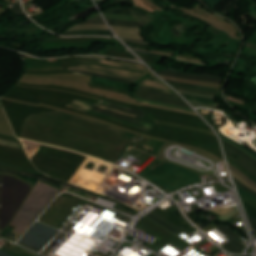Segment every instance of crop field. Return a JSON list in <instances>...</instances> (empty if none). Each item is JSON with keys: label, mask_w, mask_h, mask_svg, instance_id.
I'll return each mask as SVG.
<instances>
[{"label": "crop field", "mask_w": 256, "mask_h": 256, "mask_svg": "<svg viewBox=\"0 0 256 256\" xmlns=\"http://www.w3.org/2000/svg\"><path fill=\"white\" fill-rule=\"evenodd\" d=\"M221 139L224 140V141H227V142H229V143H231V144H233V145H235V146H237L236 144H234V143H232V142H230V141H228V140H226V139H224V138H222V137H221ZM235 146H234V147H235ZM237 147H238L239 149H241L244 153H246V154H248L249 156H251L252 158H254L252 155H250L251 153L249 154L248 152H246V151H245L244 149H242L241 147H239V146H237ZM237 147H236V148H237ZM254 159L256 160V158H254Z\"/></svg>", "instance_id": "obj_34"}, {"label": "crop field", "mask_w": 256, "mask_h": 256, "mask_svg": "<svg viewBox=\"0 0 256 256\" xmlns=\"http://www.w3.org/2000/svg\"><path fill=\"white\" fill-rule=\"evenodd\" d=\"M72 73L84 74V75L94 76V77H98V78H102V79L125 82V83H129V84L133 83V81H130V80L111 77V76H106V75H101V74H96V73H90V72H85V71H72Z\"/></svg>", "instance_id": "obj_13"}, {"label": "crop field", "mask_w": 256, "mask_h": 256, "mask_svg": "<svg viewBox=\"0 0 256 256\" xmlns=\"http://www.w3.org/2000/svg\"><path fill=\"white\" fill-rule=\"evenodd\" d=\"M170 85H175V86H181V87H189V88H197V89H203V90H210V91H215L217 93H221L220 90L214 89V88H208V87H201V86H194V85H188V84H182V83H177V82H172V81H167Z\"/></svg>", "instance_id": "obj_19"}, {"label": "crop field", "mask_w": 256, "mask_h": 256, "mask_svg": "<svg viewBox=\"0 0 256 256\" xmlns=\"http://www.w3.org/2000/svg\"><path fill=\"white\" fill-rule=\"evenodd\" d=\"M139 53H143V52H139ZM143 54L153 55V56H159V57H168V56H160V55H154V54H149V53H143ZM168 58H171V57H168Z\"/></svg>", "instance_id": "obj_38"}, {"label": "crop field", "mask_w": 256, "mask_h": 256, "mask_svg": "<svg viewBox=\"0 0 256 256\" xmlns=\"http://www.w3.org/2000/svg\"><path fill=\"white\" fill-rule=\"evenodd\" d=\"M224 148H225V154L227 156H229L231 159H233L239 165H241L242 167H244L245 169H247L249 172H251L253 175L256 176V167L253 164H251L248 160L241 157L240 155H238L234 151L230 150L229 148H227L225 146H224ZM231 154H234V156H236L238 159L232 157Z\"/></svg>", "instance_id": "obj_6"}, {"label": "crop field", "mask_w": 256, "mask_h": 256, "mask_svg": "<svg viewBox=\"0 0 256 256\" xmlns=\"http://www.w3.org/2000/svg\"><path fill=\"white\" fill-rule=\"evenodd\" d=\"M174 88L177 89V90H181V91L205 94V95H210V96H216L217 95V93H211V92H206V91H202V90L187 89V88H180V87H174Z\"/></svg>", "instance_id": "obj_24"}, {"label": "crop field", "mask_w": 256, "mask_h": 256, "mask_svg": "<svg viewBox=\"0 0 256 256\" xmlns=\"http://www.w3.org/2000/svg\"><path fill=\"white\" fill-rule=\"evenodd\" d=\"M227 238L231 239L232 241L227 243L226 245H224L223 247L231 252L234 253H242V250L245 248L242 245L238 244L237 242H235L234 240L239 238L235 235H230Z\"/></svg>", "instance_id": "obj_12"}, {"label": "crop field", "mask_w": 256, "mask_h": 256, "mask_svg": "<svg viewBox=\"0 0 256 256\" xmlns=\"http://www.w3.org/2000/svg\"><path fill=\"white\" fill-rule=\"evenodd\" d=\"M82 29H106L109 30L106 25H80V26H74L69 30H82ZM67 30V31H69Z\"/></svg>", "instance_id": "obj_20"}, {"label": "crop field", "mask_w": 256, "mask_h": 256, "mask_svg": "<svg viewBox=\"0 0 256 256\" xmlns=\"http://www.w3.org/2000/svg\"><path fill=\"white\" fill-rule=\"evenodd\" d=\"M96 107H100V108L107 109V110L114 111V112H118V113L127 114V115H130V116H133V117H136V118L142 119V120L144 119V118L137 117V116L132 115V114H129V113H124V112H121V111H118V110H114V109H111V108H108V107H104V106H101V105H98V104H96Z\"/></svg>", "instance_id": "obj_31"}, {"label": "crop field", "mask_w": 256, "mask_h": 256, "mask_svg": "<svg viewBox=\"0 0 256 256\" xmlns=\"http://www.w3.org/2000/svg\"><path fill=\"white\" fill-rule=\"evenodd\" d=\"M62 35H66V36H75V35H103V36H113V34H112L111 31H97V30L75 31V32L62 33Z\"/></svg>", "instance_id": "obj_11"}, {"label": "crop field", "mask_w": 256, "mask_h": 256, "mask_svg": "<svg viewBox=\"0 0 256 256\" xmlns=\"http://www.w3.org/2000/svg\"><path fill=\"white\" fill-rule=\"evenodd\" d=\"M90 83H97V84L112 86V87L121 88V89L129 90V91L131 90V85H129V84L107 81V80H102V79H98V78H94V77H92Z\"/></svg>", "instance_id": "obj_9"}, {"label": "crop field", "mask_w": 256, "mask_h": 256, "mask_svg": "<svg viewBox=\"0 0 256 256\" xmlns=\"http://www.w3.org/2000/svg\"><path fill=\"white\" fill-rule=\"evenodd\" d=\"M10 11L12 13H14L15 15H17V16H24L25 15L19 3L16 4L14 7H12L10 9Z\"/></svg>", "instance_id": "obj_27"}, {"label": "crop field", "mask_w": 256, "mask_h": 256, "mask_svg": "<svg viewBox=\"0 0 256 256\" xmlns=\"http://www.w3.org/2000/svg\"><path fill=\"white\" fill-rule=\"evenodd\" d=\"M164 71L175 72V73H180V74H187V75L206 76V77L215 78V79H221V80L225 79L223 77L209 76V75H205V74H190V73H186V72L175 70V69H171V68H168V69H166Z\"/></svg>", "instance_id": "obj_26"}, {"label": "crop field", "mask_w": 256, "mask_h": 256, "mask_svg": "<svg viewBox=\"0 0 256 256\" xmlns=\"http://www.w3.org/2000/svg\"><path fill=\"white\" fill-rule=\"evenodd\" d=\"M104 16L105 18H108V19L135 20V21H145V22H151L153 19L148 17L120 16V15H106V14H104Z\"/></svg>", "instance_id": "obj_14"}, {"label": "crop field", "mask_w": 256, "mask_h": 256, "mask_svg": "<svg viewBox=\"0 0 256 256\" xmlns=\"http://www.w3.org/2000/svg\"><path fill=\"white\" fill-rule=\"evenodd\" d=\"M147 217L151 218L152 220H154L156 223H158L159 225H161L162 227H164L165 229H167L168 231H170L173 234H178L179 232L175 231L174 229L170 228L169 226H167L166 224H164L163 222H161L160 220H158L156 217H154L152 214H147Z\"/></svg>", "instance_id": "obj_25"}, {"label": "crop field", "mask_w": 256, "mask_h": 256, "mask_svg": "<svg viewBox=\"0 0 256 256\" xmlns=\"http://www.w3.org/2000/svg\"><path fill=\"white\" fill-rule=\"evenodd\" d=\"M144 177L165 187L170 192L188 184L202 182L197 172L169 162Z\"/></svg>", "instance_id": "obj_1"}, {"label": "crop field", "mask_w": 256, "mask_h": 256, "mask_svg": "<svg viewBox=\"0 0 256 256\" xmlns=\"http://www.w3.org/2000/svg\"><path fill=\"white\" fill-rule=\"evenodd\" d=\"M234 180H235V179H234ZM235 183H236L237 186L243 188L244 190H246V191H248V192H250L251 194H253V195L256 196V193H255V192H253V191H251L250 189H248L247 187L243 186V185H242L241 183H239L238 181L235 180ZM250 193H249V194H250Z\"/></svg>", "instance_id": "obj_32"}, {"label": "crop field", "mask_w": 256, "mask_h": 256, "mask_svg": "<svg viewBox=\"0 0 256 256\" xmlns=\"http://www.w3.org/2000/svg\"><path fill=\"white\" fill-rule=\"evenodd\" d=\"M218 135H220V134H218ZM220 136H222V135H220ZM222 137H224V136H222ZM224 138H226V137H224ZM226 139H228V138H226ZM229 140H230V139H229ZM231 141H232V140H231ZM233 142H234V141H233ZM234 143H236V142H234ZM236 144L239 145V146H241L242 148L246 149L249 153H251L254 157H256V154H254L253 152H251L249 149L243 147L242 145H240V144H238V143H236Z\"/></svg>", "instance_id": "obj_36"}, {"label": "crop field", "mask_w": 256, "mask_h": 256, "mask_svg": "<svg viewBox=\"0 0 256 256\" xmlns=\"http://www.w3.org/2000/svg\"><path fill=\"white\" fill-rule=\"evenodd\" d=\"M139 86H143V87H146V88L162 91V92H165V93L176 94L172 89H170L163 82H161L156 76L151 78V79H147L145 81H142L139 84Z\"/></svg>", "instance_id": "obj_5"}, {"label": "crop field", "mask_w": 256, "mask_h": 256, "mask_svg": "<svg viewBox=\"0 0 256 256\" xmlns=\"http://www.w3.org/2000/svg\"><path fill=\"white\" fill-rule=\"evenodd\" d=\"M223 144L227 147H229L230 149L234 150L235 152H237L238 154H240L241 156L245 157L246 159H248L250 162H252L255 166H256V161L254 159H252L251 157L247 156L246 154H244L242 151H240L238 148L234 147L233 145L224 142Z\"/></svg>", "instance_id": "obj_22"}, {"label": "crop field", "mask_w": 256, "mask_h": 256, "mask_svg": "<svg viewBox=\"0 0 256 256\" xmlns=\"http://www.w3.org/2000/svg\"><path fill=\"white\" fill-rule=\"evenodd\" d=\"M80 24H105V23H104L103 19H93V20H87V21L79 23L77 25H80Z\"/></svg>", "instance_id": "obj_30"}, {"label": "crop field", "mask_w": 256, "mask_h": 256, "mask_svg": "<svg viewBox=\"0 0 256 256\" xmlns=\"http://www.w3.org/2000/svg\"><path fill=\"white\" fill-rule=\"evenodd\" d=\"M232 176L237 179L239 182H241L242 184L246 185L247 187L251 188L252 190H254L256 192V188L250 184H248L247 182H245L243 179H241L239 176H237L235 173H233L231 171Z\"/></svg>", "instance_id": "obj_29"}, {"label": "crop field", "mask_w": 256, "mask_h": 256, "mask_svg": "<svg viewBox=\"0 0 256 256\" xmlns=\"http://www.w3.org/2000/svg\"><path fill=\"white\" fill-rule=\"evenodd\" d=\"M102 13H116V14H126V15L153 17L151 15L144 14V13H142L139 10L134 9V8H120V9H116V10L105 11V12H102Z\"/></svg>", "instance_id": "obj_10"}, {"label": "crop field", "mask_w": 256, "mask_h": 256, "mask_svg": "<svg viewBox=\"0 0 256 256\" xmlns=\"http://www.w3.org/2000/svg\"><path fill=\"white\" fill-rule=\"evenodd\" d=\"M107 21L109 25L135 27V28H141L147 25L146 23L131 22V21H115V20H107Z\"/></svg>", "instance_id": "obj_15"}, {"label": "crop field", "mask_w": 256, "mask_h": 256, "mask_svg": "<svg viewBox=\"0 0 256 256\" xmlns=\"http://www.w3.org/2000/svg\"><path fill=\"white\" fill-rule=\"evenodd\" d=\"M111 28H112L119 36L141 39L140 36H139V34H138L139 29H135V28H125V27H116V26H111Z\"/></svg>", "instance_id": "obj_8"}, {"label": "crop field", "mask_w": 256, "mask_h": 256, "mask_svg": "<svg viewBox=\"0 0 256 256\" xmlns=\"http://www.w3.org/2000/svg\"><path fill=\"white\" fill-rule=\"evenodd\" d=\"M138 102L139 103H144V104H152V105L171 107V108H176V109H181V110H186V111L193 112V110L189 109V108H184V107H179V106H174V105H169V104H163V103H157V102H152V101H148V100L138 99Z\"/></svg>", "instance_id": "obj_18"}, {"label": "crop field", "mask_w": 256, "mask_h": 256, "mask_svg": "<svg viewBox=\"0 0 256 256\" xmlns=\"http://www.w3.org/2000/svg\"><path fill=\"white\" fill-rule=\"evenodd\" d=\"M91 18H101L100 14H95L94 16H92Z\"/></svg>", "instance_id": "obj_40"}, {"label": "crop field", "mask_w": 256, "mask_h": 256, "mask_svg": "<svg viewBox=\"0 0 256 256\" xmlns=\"http://www.w3.org/2000/svg\"><path fill=\"white\" fill-rule=\"evenodd\" d=\"M72 105L77 106V107L86 108L90 111L101 113V114H104V115H107V116H111V117H114V118H117V119H120V120H123V121H127V122H130V123H133V124H139L143 127H147L148 124H149V122H146V121H142V120L132 118V117H128V116H125V115H122V114H118V113L110 112V111L103 110V109H100V108H96V107L90 106L88 104L78 102L76 100H74Z\"/></svg>", "instance_id": "obj_4"}, {"label": "crop field", "mask_w": 256, "mask_h": 256, "mask_svg": "<svg viewBox=\"0 0 256 256\" xmlns=\"http://www.w3.org/2000/svg\"><path fill=\"white\" fill-rule=\"evenodd\" d=\"M134 96L142 99H148L152 101L188 107L186 103L179 96L169 95V94L161 93V92L146 89V88L138 87Z\"/></svg>", "instance_id": "obj_3"}, {"label": "crop field", "mask_w": 256, "mask_h": 256, "mask_svg": "<svg viewBox=\"0 0 256 256\" xmlns=\"http://www.w3.org/2000/svg\"><path fill=\"white\" fill-rule=\"evenodd\" d=\"M157 74L162 75V76L177 77V78L193 80V81H207V82H213V83H219V84L222 83V81H220V80H214V79H209V78H205V77H197V76H186V75H180V74L169 73V72H164V71H159V72H157Z\"/></svg>", "instance_id": "obj_7"}, {"label": "crop field", "mask_w": 256, "mask_h": 256, "mask_svg": "<svg viewBox=\"0 0 256 256\" xmlns=\"http://www.w3.org/2000/svg\"><path fill=\"white\" fill-rule=\"evenodd\" d=\"M182 96H189V97H194V96H190V95H184V94H182ZM197 98H200V97H197ZM201 99H207V100H211V101H214L213 99H208V98H201Z\"/></svg>", "instance_id": "obj_39"}, {"label": "crop field", "mask_w": 256, "mask_h": 256, "mask_svg": "<svg viewBox=\"0 0 256 256\" xmlns=\"http://www.w3.org/2000/svg\"><path fill=\"white\" fill-rule=\"evenodd\" d=\"M98 104H102V105H105V106H108V107H111V108H114V109H118V110H121V111H124V112H129V113H132V114H136V115H139L141 117L144 116V113L141 112V111H137V110L121 107V106H118V105H114V104H111L107 101H101V103H98Z\"/></svg>", "instance_id": "obj_16"}, {"label": "crop field", "mask_w": 256, "mask_h": 256, "mask_svg": "<svg viewBox=\"0 0 256 256\" xmlns=\"http://www.w3.org/2000/svg\"><path fill=\"white\" fill-rule=\"evenodd\" d=\"M67 106H68V107H72V108L79 109V110L84 111V112H86V113L95 114V115L103 116V117H106V118H109V119H113V120L119 121V122H121V123L127 124V125H129V126L140 128V129L145 130V131H149V130H150V129L143 128V127H141V126H139V125H133V124L126 123V122H123V121H120V120H117V119H114V118H110V117H107V116H104V115H101V114L93 113V112H90V111H88V110H86V109L77 108V107H73V106H69V105H67Z\"/></svg>", "instance_id": "obj_21"}, {"label": "crop field", "mask_w": 256, "mask_h": 256, "mask_svg": "<svg viewBox=\"0 0 256 256\" xmlns=\"http://www.w3.org/2000/svg\"><path fill=\"white\" fill-rule=\"evenodd\" d=\"M237 189L239 191V194H240L242 200H244L245 202H247L248 204H250L251 206L256 208V197L238 187H237Z\"/></svg>", "instance_id": "obj_17"}, {"label": "crop field", "mask_w": 256, "mask_h": 256, "mask_svg": "<svg viewBox=\"0 0 256 256\" xmlns=\"http://www.w3.org/2000/svg\"><path fill=\"white\" fill-rule=\"evenodd\" d=\"M132 49L137 50V51H147V50H142V49H137V48H132ZM147 52H151V51H147ZM152 53H156V52H152ZM157 54H164V55L172 56V55L165 54V53H157Z\"/></svg>", "instance_id": "obj_37"}, {"label": "crop field", "mask_w": 256, "mask_h": 256, "mask_svg": "<svg viewBox=\"0 0 256 256\" xmlns=\"http://www.w3.org/2000/svg\"><path fill=\"white\" fill-rule=\"evenodd\" d=\"M248 218H249V221L251 223L252 230H256V220L251 218V217H249V216H248Z\"/></svg>", "instance_id": "obj_35"}, {"label": "crop field", "mask_w": 256, "mask_h": 256, "mask_svg": "<svg viewBox=\"0 0 256 256\" xmlns=\"http://www.w3.org/2000/svg\"><path fill=\"white\" fill-rule=\"evenodd\" d=\"M147 69L141 65L101 60L100 63L77 61L68 70H85L136 81Z\"/></svg>", "instance_id": "obj_2"}, {"label": "crop field", "mask_w": 256, "mask_h": 256, "mask_svg": "<svg viewBox=\"0 0 256 256\" xmlns=\"http://www.w3.org/2000/svg\"><path fill=\"white\" fill-rule=\"evenodd\" d=\"M208 6L213 8L220 0H204Z\"/></svg>", "instance_id": "obj_33"}, {"label": "crop field", "mask_w": 256, "mask_h": 256, "mask_svg": "<svg viewBox=\"0 0 256 256\" xmlns=\"http://www.w3.org/2000/svg\"><path fill=\"white\" fill-rule=\"evenodd\" d=\"M184 98H185L186 100H189V101H194V102H198V103H203V104H208V105L223 107L222 105H219V104H216V103H213V102H209V101H205V100L193 99V98H186V97H184Z\"/></svg>", "instance_id": "obj_28"}, {"label": "crop field", "mask_w": 256, "mask_h": 256, "mask_svg": "<svg viewBox=\"0 0 256 256\" xmlns=\"http://www.w3.org/2000/svg\"><path fill=\"white\" fill-rule=\"evenodd\" d=\"M150 213H152L153 215H155L156 217H158L159 219H161L163 222H165L167 225L175 228L176 230H178L179 232L183 233L185 232L183 229L177 227L176 225H174L172 222H170L169 220L165 219L164 217H162L161 215H159L157 212H155L154 210L151 211Z\"/></svg>", "instance_id": "obj_23"}]
</instances>
